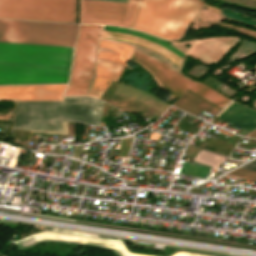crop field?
Instances as JSON below:
<instances>
[{
    "label": "crop field",
    "mask_w": 256,
    "mask_h": 256,
    "mask_svg": "<svg viewBox=\"0 0 256 256\" xmlns=\"http://www.w3.org/2000/svg\"><path fill=\"white\" fill-rule=\"evenodd\" d=\"M99 28L100 25H81L75 59L72 67L70 86L64 95L86 94L94 68ZM103 30L116 31L142 37L170 48L181 57H185L183 53L156 37L148 36L125 28L106 25H103ZM106 31H103L102 37L124 40L147 47L158 52L176 65H181L183 58L163 46L132 35ZM239 40L240 38L235 37H211L203 40H196L187 53L204 62L214 64L221 60ZM131 47L132 45L122 42L107 39L100 40L94 80L88 93L89 96L100 98L110 82L112 80L116 81L125 67ZM132 58L139 60L141 64L147 67L159 79L174 99L190 89L221 107L229 101V99L220 95L211 88L195 83L141 53L134 51Z\"/></svg>",
    "instance_id": "1"
},
{
    "label": "crop field",
    "mask_w": 256,
    "mask_h": 256,
    "mask_svg": "<svg viewBox=\"0 0 256 256\" xmlns=\"http://www.w3.org/2000/svg\"><path fill=\"white\" fill-rule=\"evenodd\" d=\"M78 25L0 20V45L73 51ZM0 46V85L68 83L73 52Z\"/></svg>",
    "instance_id": "2"
},
{
    "label": "crop field",
    "mask_w": 256,
    "mask_h": 256,
    "mask_svg": "<svg viewBox=\"0 0 256 256\" xmlns=\"http://www.w3.org/2000/svg\"><path fill=\"white\" fill-rule=\"evenodd\" d=\"M66 85L0 87V100L62 99ZM102 101L86 96L63 101L17 102L13 128L61 131V120L101 124Z\"/></svg>",
    "instance_id": "3"
},
{
    "label": "crop field",
    "mask_w": 256,
    "mask_h": 256,
    "mask_svg": "<svg viewBox=\"0 0 256 256\" xmlns=\"http://www.w3.org/2000/svg\"><path fill=\"white\" fill-rule=\"evenodd\" d=\"M202 0H138L130 28L178 39L203 4Z\"/></svg>",
    "instance_id": "4"
},
{
    "label": "crop field",
    "mask_w": 256,
    "mask_h": 256,
    "mask_svg": "<svg viewBox=\"0 0 256 256\" xmlns=\"http://www.w3.org/2000/svg\"><path fill=\"white\" fill-rule=\"evenodd\" d=\"M0 16L75 22V0H0Z\"/></svg>",
    "instance_id": "5"
},
{
    "label": "crop field",
    "mask_w": 256,
    "mask_h": 256,
    "mask_svg": "<svg viewBox=\"0 0 256 256\" xmlns=\"http://www.w3.org/2000/svg\"><path fill=\"white\" fill-rule=\"evenodd\" d=\"M137 0L127 4L81 0V23L111 24L128 27Z\"/></svg>",
    "instance_id": "6"
},
{
    "label": "crop field",
    "mask_w": 256,
    "mask_h": 256,
    "mask_svg": "<svg viewBox=\"0 0 256 256\" xmlns=\"http://www.w3.org/2000/svg\"><path fill=\"white\" fill-rule=\"evenodd\" d=\"M218 118L248 132L256 128V111L237 102H233Z\"/></svg>",
    "instance_id": "7"
},
{
    "label": "crop field",
    "mask_w": 256,
    "mask_h": 256,
    "mask_svg": "<svg viewBox=\"0 0 256 256\" xmlns=\"http://www.w3.org/2000/svg\"><path fill=\"white\" fill-rule=\"evenodd\" d=\"M172 105L195 116L201 110L208 112L212 115L216 114L219 111L218 109L210 106L209 104L197 99L196 97L186 92L183 95H181Z\"/></svg>",
    "instance_id": "8"
},
{
    "label": "crop field",
    "mask_w": 256,
    "mask_h": 256,
    "mask_svg": "<svg viewBox=\"0 0 256 256\" xmlns=\"http://www.w3.org/2000/svg\"><path fill=\"white\" fill-rule=\"evenodd\" d=\"M228 174L241 177V176L256 174V172L246 170V169H242V168H238V169H236V170H234V171H232Z\"/></svg>",
    "instance_id": "9"
},
{
    "label": "crop field",
    "mask_w": 256,
    "mask_h": 256,
    "mask_svg": "<svg viewBox=\"0 0 256 256\" xmlns=\"http://www.w3.org/2000/svg\"><path fill=\"white\" fill-rule=\"evenodd\" d=\"M242 168L250 169L256 171V160L242 166Z\"/></svg>",
    "instance_id": "10"
},
{
    "label": "crop field",
    "mask_w": 256,
    "mask_h": 256,
    "mask_svg": "<svg viewBox=\"0 0 256 256\" xmlns=\"http://www.w3.org/2000/svg\"><path fill=\"white\" fill-rule=\"evenodd\" d=\"M247 136H251V137L256 138V129L253 130L252 132H250L249 134H247Z\"/></svg>",
    "instance_id": "11"
},
{
    "label": "crop field",
    "mask_w": 256,
    "mask_h": 256,
    "mask_svg": "<svg viewBox=\"0 0 256 256\" xmlns=\"http://www.w3.org/2000/svg\"><path fill=\"white\" fill-rule=\"evenodd\" d=\"M104 1H113V2H122V3L127 2V0H104Z\"/></svg>",
    "instance_id": "12"
},
{
    "label": "crop field",
    "mask_w": 256,
    "mask_h": 256,
    "mask_svg": "<svg viewBox=\"0 0 256 256\" xmlns=\"http://www.w3.org/2000/svg\"><path fill=\"white\" fill-rule=\"evenodd\" d=\"M248 179H252V180H256V176H252V177H246Z\"/></svg>",
    "instance_id": "13"
}]
</instances>
